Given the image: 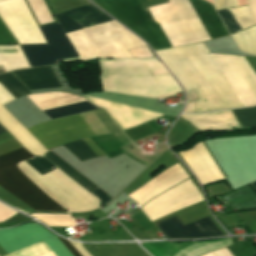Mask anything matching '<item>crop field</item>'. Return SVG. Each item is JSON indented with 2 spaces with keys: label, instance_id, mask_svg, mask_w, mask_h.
I'll return each mask as SVG.
<instances>
[{
  "label": "crop field",
  "instance_id": "crop-field-10",
  "mask_svg": "<svg viewBox=\"0 0 256 256\" xmlns=\"http://www.w3.org/2000/svg\"><path fill=\"white\" fill-rule=\"evenodd\" d=\"M191 243L171 244L169 242L141 243L152 256H167ZM230 238L193 243L169 256H199L218 248L232 245Z\"/></svg>",
  "mask_w": 256,
  "mask_h": 256
},
{
  "label": "crop field",
  "instance_id": "crop-field-12",
  "mask_svg": "<svg viewBox=\"0 0 256 256\" xmlns=\"http://www.w3.org/2000/svg\"><path fill=\"white\" fill-rule=\"evenodd\" d=\"M179 153L193 170L201 185L224 179L202 142L190 150Z\"/></svg>",
  "mask_w": 256,
  "mask_h": 256
},
{
  "label": "crop field",
  "instance_id": "crop-field-33",
  "mask_svg": "<svg viewBox=\"0 0 256 256\" xmlns=\"http://www.w3.org/2000/svg\"><path fill=\"white\" fill-rule=\"evenodd\" d=\"M247 3L250 7V10L256 23V0H247Z\"/></svg>",
  "mask_w": 256,
  "mask_h": 256
},
{
  "label": "crop field",
  "instance_id": "crop-field-15",
  "mask_svg": "<svg viewBox=\"0 0 256 256\" xmlns=\"http://www.w3.org/2000/svg\"><path fill=\"white\" fill-rule=\"evenodd\" d=\"M13 73L29 90L61 87L50 66L19 70Z\"/></svg>",
  "mask_w": 256,
  "mask_h": 256
},
{
  "label": "crop field",
  "instance_id": "crop-field-31",
  "mask_svg": "<svg viewBox=\"0 0 256 256\" xmlns=\"http://www.w3.org/2000/svg\"><path fill=\"white\" fill-rule=\"evenodd\" d=\"M216 10L237 7V0H212Z\"/></svg>",
  "mask_w": 256,
  "mask_h": 256
},
{
  "label": "crop field",
  "instance_id": "crop-field-25",
  "mask_svg": "<svg viewBox=\"0 0 256 256\" xmlns=\"http://www.w3.org/2000/svg\"><path fill=\"white\" fill-rule=\"evenodd\" d=\"M0 84L15 98L30 94V92L10 73L0 75Z\"/></svg>",
  "mask_w": 256,
  "mask_h": 256
},
{
  "label": "crop field",
  "instance_id": "crop-field-16",
  "mask_svg": "<svg viewBox=\"0 0 256 256\" xmlns=\"http://www.w3.org/2000/svg\"><path fill=\"white\" fill-rule=\"evenodd\" d=\"M209 33L211 39L228 35L211 4L202 0H189Z\"/></svg>",
  "mask_w": 256,
  "mask_h": 256
},
{
  "label": "crop field",
  "instance_id": "crop-field-22",
  "mask_svg": "<svg viewBox=\"0 0 256 256\" xmlns=\"http://www.w3.org/2000/svg\"><path fill=\"white\" fill-rule=\"evenodd\" d=\"M85 143L98 155H104V153L92 142L90 138L83 139ZM83 140H76L64 146L72 152L80 161L86 160L97 156L84 142Z\"/></svg>",
  "mask_w": 256,
  "mask_h": 256
},
{
  "label": "crop field",
  "instance_id": "crop-field-27",
  "mask_svg": "<svg viewBox=\"0 0 256 256\" xmlns=\"http://www.w3.org/2000/svg\"><path fill=\"white\" fill-rule=\"evenodd\" d=\"M32 168H34L41 175L55 169L56 167L49 163L42 157H36L26 161Z\"/></svg>",
  "mask_w": 256,
  "mask_h": 256
},
{
  "label": "crop field",
  "instance_id": "crop-field-18",
  "mask_svg": "<svg viewBox=\"0 0 256 256\" xmlns=\"http://www.w3.org/2000/svg\"><path fill=\"white\" fill-rule=\"evenodd\" d=\"M41 111L69 105L85 99L75 96L73 94L62 92H51L27 96Z\"/></svg>",
  "mask_w": 256,
  "mask_h": 256
},
{
  "label": "crop field",
  "instance_id": "crop-field-11",
  "mask_svg": "<svg viewBox=\"0 0 256 256\" xmlns=\"http://www.w3.org/2000/svg\"><path fill=\"white\" fill-rule=\"evenodd\" d=\"M213 222V221H212ZM206 217L187 226L175 217L156 224L167 238H202L223 235L220 230Z\"/></svg>",
  "mask_w": 256,
  "mask_h": 256
},
{
  "label": "crop field",
  "instance_id": "crop-field-32",
  "mask_svg": "<svg viewBox=\"0 0 256 256\" xmlns=\"http://www.w3.org/2000/svg\"><path fill=\"white\" fill-rule=\"evenodd\" d=\"M132 57H152L153 55L146 46L129 50Z\"/></svg>",
  "mask_w": 256,
  "mask_h": 256
},
{
  "label": "crop field",
  "instance_id": "crop-field-17",
  "mask_svg": "<svg viewBox=\"0 0 256 256\" xmlns=\"http://www.w3.org/2000/svg\"><path fill=\"white\" fill-rule=\"evenodd\" d=\"M44 157L51 161L53 164H55L66 175L76 181L87 191L98 197L101 200L100 207L112 199L50 150L45 154Z\"/></svg>",
  "mask_w": 256,
  "mask_h": 256
},
{
  "label": "crop field",
  "instance_id": "crop-field-6",
  "mask_svg": "<svg viewBox=\"0 0 256 256\" xmlns=\"http://www.w3.org/2000/svg\"><path fill=\"white\" fill-rule=\"evenodd\" d=\"M226 81L229 83L244 107L256 106V57H237L230 55L209 54Z\"/></svg>",
  "mask_w": 256,
  "mask_h": 256
},
{
  "label": "crop field",
  "instance_id": "crop-field-2",
  "mask_svg": "<svg viewBox=\"0 0 256 256\" xmlns=\"http://www.w3.org/2000/svg\"><path fill=\"white\" fill-rule=\"evenodd\" d=\"M122 23L144 38L154 50L210 39L188 0L143 9L138 0H97Z\"/></svg>",
  "mask_w": 256,
  "mask_h": 256
},
{
  "label": "crop field",
  "instance_id": "crop-field-37",
  "mask_svg": "<svg viewBox=\"0 0 256 256\" xmlns=\"http://www.w3.org/2000/svg\"><path fill=\"white\" fill-rule=\"evenodd\" d=\"M2 72H5V71H4L3 67L0 66V73H2Z\"/></svg>",
  "mask_w": 256,
  "mask_h": 256
},
{
  "label": "crop field",
  "instance_id": "crop-field-36",
  "mask_svg": "<svg viewBox=\"0 0 256 256\" xmlns=\"http://www.w3.org/2000/svg\"><path fill=\"white\" fill-rule=\"evenodd\" d=\"M250 185L256 190V181L255 182H252L250 183Z\"/></svg>",
  "mask_w": 256,
  "mask_h": 256
},
{
  "label": "crop field",
  "instance_id": "crop-field-38",
  "mask_svg": "<svg viewBox=\"0 0 256 256\" xmlns=\"http://www.w3.org/2000/svg\"><path fill=\"white\" fill-rule=\"evenodd\" d=\"M254 256H256V255H254Z\"/></svg>",
  "mask_w": 256,
  "mask_h": 256
},
{
  "label": "crop field",
  "instance_id": "crop-field-7",
  "mask_svg": "<svg viewBox=\"0 0 256 256\" xmlns=\"http://www.w3.org/2000/svg\"><path fill=\"white\" fill-rule=\"evenodd\" d=\"M48 45L20 46L31 67L55 64L56 59L78 57L58 23L40 27Z\"/></svg>",
  "mask_w": 256,
  "mask_h": 256
},
{
  "label": "crop field",
  "instance_id": "crop-field-1",
  "mask_svg": "<svg viewBox=\"0 0 256 256\" xmlns=\"http://www.w3.org/2000/svg\"><path fill=\"white\" fill-rule=\"evenodd\" d=\"M102 69L101 85L106 91L168 98L176 96L181 89L168 71L156 58L148 59H99ZM93 104L104 108L124 130L156 119L163 115L150 110L125 105L119 102L87 97Z\"/></svg>",
  "mask_w": 256,
  "mask_h": 256
},
{
  "label": "crop field",
  "instance_id": "crop-field-34",
  "mask_svg": "<svg viewBox=\"0 0 256 256\" xmlns=\"http://www.w3.org/2000/svg\"><path fill=\"white\" fill-rule=\"evenodd\" d=\"M60 239V238H59ZM60 241L67 247V249L74 255V256H80L78 254V252L71 246V244L66 241V240H62L60 239Z\"/></svg>",
  "mask_w": 256,
  "mask_h": 256
},
{
  "label": "crop field",
  "instance_id": "crop-field-30",
  "mask_svg": "<svg viewBox=\"0 0 256 256\" xmlns=\"http://www.w3.org/2000/svg\"><path fill=\"white\" fill-rule=\"evenodd\" d=\"M18 215L20 214L0 203V221H6Z\"/></svg>",
  "mask_w": 256,
  "mask_h": 256
},
{
  "label": "crop field",
  "instance_id": "crop-field-14",
  "mask_svg": "<svg viewBox=\"0 0 256 256\" xmlns=\"http://www.w3.org/2000/svg\"><path fill=\"white\" fill-rule=\"evenodd\" d=\"M0 123L33 155L43 156L46 150L0 105Z\"/></svg>",
  "mask_w": 256,
  "mask_h": 256
},
{
  "label": "crop field",
  "instance_id": "crop-field-35",
  "mask_svg": "<svg viewBox=\"0 0 256 256\" xmlns=\"http://www.w3.org/2000/svg\"><path fill=\"white\" fill-rule=\"evenodd\" d=\"M6 132V130L0 125V134Z\"/></svg>",
  "mask_w": 256,
  "mask_h": 256
},
{
  "label": "crop field",
  "instance_id": "crop-field-23",
  "mask_svg": "<svg viewBox=\"0 0 256 256\" xmlns=\"http://www.w3.org/2000/svg\"><path fill=\"white\" fill-rule=\"evenodd\" d=\"M235 43L244 52L256 55V25L232 35Z\"/></svg>",
  "mask_w": 256,
  "mask_h": 256
},
{
  "label": "crop field",
  "instance_id": "crop-field-24",
  "mask_svg": "<svg viewBox=\"0 0 256 256\" xmlns=\"http://www.w3.org/2000/svg\"><path fill=\"white\" fill-rule=\"evenodd\" d=\"M94 109H99L98 107L94 106L88 101L65 106V107H60L48 111H44L43 113L49 118H58V117H63L75 113H82V112H87L89 110H94Z\"/></svg>",
  "mask_w": 256,
  "mask_h": 256
},
{
  "label": "crop field",
  "instance_id": "crop-field-19",
  "mask_svg": "<svg viewBox=\"0 0 256 256\" xmlns=\"http://www.w3.org/2000/svg\"><path fill=\"white\" fill-rule=\"evenodd\" d=\"M230 11L239 23L242 30L255 24L247 6L232 8L230 9ZM230 11L229 9H225L219 10L217 12L221 16L225 27L227 26V30L229 31V33L233 34L241 31V28L239 27L238 23L236 22Z\"/></svg>",
  "mask_w": 256,
  "mask_h": 256
},
{
  "label": "crop field",
  "instance_id": "crop-field-9",
  "mask_svg": "<svg viewBox=\"0 0 256 256\" xmlns=\"http://www.w3.org/2000/svg\"><path fill=\"white\" fill-rule=\"evenodd\" d=\"M0 17L19 44L46 43L24 0L1 1Z\"/></svg>",
  "mask_w": 256,
  "mask_h": 256
},
{
  "label": "crop field",
  "instance_id": "crop-field-26",
  "mask_svg": "<svg viewBox=\"0 0 256 256\" xmlns=\"http://www.w3.org/2000/svg\"><path fill=\"white\" fill-rule=\"evenodd\" d=\"M243 127L256 126V108L234 110Z\"/></svg>",
  "mask_w": 256,
  "mask_h": 256
},
{
  "label": "crop field",
  "instance_id": "crop-field-3",
  "mask_svg": "<svg viewBox=\"0 0 256 256\" xmlns=\"http://www.w3.org/2000/svg\"><path fill=\"white\" fill-rule=\"evenodd\" d=\"M156 53L186 91L184 112L203 113L243 107L208 56L209 51L203 43Z\"/></svg>",
  "mask_w": 256,
  "mask_h": 256
},
{
  "label": "crop field",
  "instance_id": "crop-field-28",
  "mask_svg": "<svg viewBox=\"0 0 256 256\" xmlns=\"http://www.w3.org/2000/svg\"><path fill=\"white\" fill-rule=\"evenodd\" d=\"M132 217L142 227V229L145 232L155 229L154 225L150 222V220L146 217V215L142 212V210L137 212Z\"/></svg>",
  "mask_w": 256,
  "mask_h": 256
},
{
  "label": "crop field",
  "instance_id": "crop-field-13",
  "mask_svg": "<svg viewBox=\"0 0 256 256\" xmlns=\"http://www.w3.org/2000/svg\"><path fill=\"white\" fill-rule=\"evenodd\" d=\"M180 117L191 123L201 132L211 130H233L232 127L241 128L232 110L198 115L183 114Z\"/></svg>",
  "mask_w": 256,
  "mask_h": 256
},
{
  "label": "crop field",
  "instance_id": "crop-field-29",
  "mask_svg": "<svg viewBox=\"0 0 256 256\" xmlns=\"http://www.w3.org/2000/svg\"><path fill=\"white\" fill-rule=\"evenodd\" d=\"M17 42L14 40L10 32L0 20V45H14Z\"/></svg>",
  "mask_w": 256,
  "mask_h": 256
},
{
  "label": "crop field",
  "instance_id": "crop-field-5",
  "mask_svg": "<svg viewBox=\"0 0 256 256\" xmlns=\"http://www.w3.org/2000/svg\"><path fill=\"white\" fill-rule=\"evenodd\" d=\"M30 157L33 156L24 148L0 156V172L16 167L18 162ZM0 182L35 211L65 212L59 204L41 192L18 167L1 172Z\"/></svg>",
  "mask_w": 256,
  "mask_h": 256
},
{
  "label": "crop field",
  "instance_id": "crop-field-20",
  "mask_svg": "<svg viewBox=\"0 0 256 256\" xmlns=\"http://www.w3.org/2000/svg\"><path fill=\"white\" fill-rule=\"evenodd\" d=\"M234 211L256 208V195L247 187L220 196Z\"/></svg>",
  "mask_w": 256,
  "mask_h": 256
},
{
  "label": "crop field",
  "instance_id": "crop-field-4",
  "mask_svg": "<svg viewBox=\"0 0 256 256\" xmlns=\"http://www.w3.org/2000/svg\"><path fill=\"white\" fill-rule=\"evenodd\" d=\"M63 29L69 30L110 19L92 4L54 15ZM81 60L94 57H130L127 49L145 45L114 20H106L64 32Z\"/></svg>",
  "mask_w": 256,
  "mask_h": 256
},
{
  "label": "crop field",
  "instance_id": "crop-field-21",
  "mask_svg": "<svg viewBox=\"0 0 256 256\" xmlns=\"http://www.w3.org/2000/svg\"><path fill=\"white\" fill-rule=\"evenodd\" d=\"M0 65L6 72L29 67L19 46H0Z\"/></svg>",
  "mask_w": 256,
  "mask_h": 256
},
{
  "label": "crop field",
  "instance_id": "crop-field-8",
  "mask_svg": "<svg viewBox=\"0 0 256 256\" xmlns=\"http://www.w3.org/2000/svg\"><path fill=\"white\" fill-rule=\"evenodd\" d=\"M27 131L47 150L75 138L95 135L80 114L47 121Z\"/></svg>",
  "mask_w": 256,
  "mask_h": 256
}]
</instances>
